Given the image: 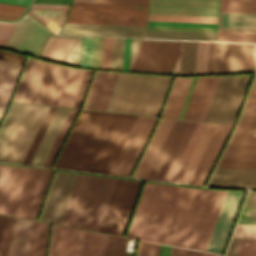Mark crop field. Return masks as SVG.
Segmentation results:
<instances>
[{
    "label": "crop field",
    "instance_id": "9f1670bb",
    "mask_svg": "<svg viewBox=\"0 0 256 256\" xmlns=\"http://www.w3.org/2000/svg\"><path fill=\"white\" fill-rule=\"evenodd\" d=\"M254 79H256V76H255V78Z\"/></svg>",
    "mask_w": 256,
    "mask_h": 256
},
{
    "label": "crop field",
    "instance_id": "9d1cf04e",
    "mask_svg": "<svg viewBox=\"0 0 256 256\" xmlns=\"http://www.w3.org/2000/svg\"><path fill=\"white\" fill-rule=\"evenodd\" d=\"M160 245L139 241L137 256H158Z\"/></svg>",
    "mask_w": 256,
    "mask_h": 256
},
{
    "label": "crop field",
    "instance_id": "5d738f31",
    "mask_svg": "<svg viewBox=\"0 0 256 256\" xmlns=\"http://www.w3.org/2000/svg\"><path fill=\"white\" fill-rule=\"evenodd\" d=\"M209 42H198L194 75L206 74Z\"/></svg>",
    "mask_w": 256,
    "mask_h": 256
},
{
    "label": "crop field",
    "instance_id": "028f5c9d",
    "mask_svg": "<svg viewBox=\"0 0 256 256\" xmlns=\"http://www.w3.org/2000/svg\"><path fill=\"white\" fill-rule=\"evenodd\" d=\"M85 70L71 68L57 106L71 108Z\"/></svg>",
    "mask_w": 256,
    "mask_h": 256
},
{
    "label": "crop field",
    "instance_id": "920284fa",
    "mask_svg": "<svg viewBox=\"0 0 256 256\" xmlns=\"http://www.w3.org/2000/svg\"><path fill=\"white\" fill-rule=\"evenodd\" d=\"M72 0H35L34 3L70 4Z\"/></svg>",
    "mask_w": 256,
    "mask_h": 256
},
{
    "label": "crop field",
    "instance_id": "22f410ed",
    "mask_svg": "<svg viewBox=\"0 0 256 256\" xmlns=\"http://www.w3.org/2000/svg\"><path fill=\"white\" fill-rule=\"evenodd\" d=\"M216 125L197 123L169 181L188 183Z\"/></svg>",
    "mask_w": 256,
    "mask_h": 256
},
{
    "label": "crop field",
    "instance_id": "bec16c9f",
    "mask_svg": "<svg viewBox=\"0 0 256 256\" xmlns=\"http://www.w3.org/2000/svg\"><path fill=\"white\" fill-rule=\"evenodd\" d=\"M15 25H16V23L12 24V26H11V28H10V30H9V32H8V34H7V36H6L5 40H4V42H3L1 48H4V46H5V44H6L7 40H8V38H9V36L11 35V33H12V31H13Z\"/></svg>",
    "mask_w": 256,
    "mask_h": 256
},
{
    "label": "crop field",
    "instance_id": "cbeb9de0",
    "mask_svg": "<svg viewBox=\"0 0 256 256\" xmlns=\"http://www.w3.org/2000/svg\"><path fill=\"white\" fill-rule=\"evenodd\" d=\"M78 174L57 171L38 220L61 223Z\"/></svg>",
    "mask_w": 256,
    "mask_h": 256
},
{
    "label": "crop field",
    "instance_id": "30508edc",
    "mask_svg": "<svg viewBox=\"0 0 256 256\" xmlns=\"http://www.w3.org/2000/svg\"><path fill=\"white\" fill-rule=\"evenodd\" d=\"M248 99H255L256 100V98H248Z\"/></svg>",
    "mask_w": 256,
    "mask_h": 256
},
{
    "label": "crop field",
    "instance_id": "60d6c31b",
    "mask_svg": "<svg viewBox=\"0 0 256 256\" xmlns=\"http://www.w3.org/2000/svg\"><path fill=\"white\" fill-rule=\"evenodd\" d=\"M248 97H256V80L253 81L250 93Z\"/></svg>",
    "mask_w": 256,
    "mask_h": 256
},
{
    "label": "crop field",
    "instance_id": "1f1604b0",
    "mask_svg": "<svg viewBox=\"0 0 256 256\" xmlns=\"http://www.w3.org/2000/svg\"><path fill=\"white\" fill-rule=\"evenodd\" d=\"M220 4L256 5V0H221Z\"/></svg>",
    "mask_w": 256,
    "mask_h": 256
},
{
    "label": "crop field",
    "instance_id": "00972430",
    "mask_svg": "<svg viewBox=\"0 0 256 256\" xmlns=\"http://www.w3.org/2000/svg\"><path fill=\"white\" fill-rule=\"evenodd\" d=\"M2 51V50H1ZM0 51V117L9 101L24 57Z\"/></svg>",
    "mask_w": 256,
    "mask_h": 256
},
{
    "label": "crop field",
    "instance_id": "1f2cbd36",
    "mask_svg": "<svg viewBox=\"0 0 256 256\" xmlns=\"http://www.w3.org/2000/svg\"><path fill=\"white\" fill-rule=\"evenodd\" d=\"M93 37H82L79 66L90 68Z\"/></svg>",
    "mask_w": 256,
    "mask_h": 256
},
{
    "label": "crop field",
    "instance_id": "f4fd0767",
    "mask_svg": "<svg viewBox=\"0 0 256 256\" xmlns=\"http://www.w3.org/2000/svg\"><path fill=\"white\" fill-rule=\"evenodd\" d=\"M148 6L73 3L66 22L146 26Z\"/></svg>",
    "mask_w": 256,
    "mask_h": 256
},
{
    "label": "crop field",
    "instance_id": "25e5ab78",
    "mask_svg": "<svg viewBox=\"0 0 256 256\" xmlns=\"http://www.w3.org/2000/svg\"><path fill=\"white\" fill-rule=\"evenodd\" d=\"M217 41L256 43V34L217 32Z\"/></svg>",
    "mask_w": 256,
    "mask_h": 256
},
{
    "label": "crop field",
    "instance_id": "5142ce71",
    "mask_svg": "<svg viewBox=\"0 0 256 256\" xmlns=\"http://www.w3.org/2000/svg\"><path fill=\"white\" fill-rule=\"evenodd\" d=\"M245 44L210 42L207 74L242 72Z\"/></svg>",
    "mask_w": 256,
    "mask_h": 256
},
{
    "label": "crop field",
    "instance_id": "8a807250",
    "mask_svg": "<svg viewBox=\"0 0 256 256\" xmlns=\"http://www.w3.org/2000/svg\"><path fill=\"white\" fill-rule=\"evenodd\" d=\"M208 191L145 182L125 236L188 248Z\"/></svg>",
    "mask_w": 256,
    "mask_h": 256
},
{
    "label": "crop field",
    "instance_id": "0765c3eb",
    "mask_svg": "<svg viewBox=\"0 0 256 256\" xmlns=\"http://www.w3.org/2000/svg\"><path fill=\"white\" fill-rule=\"evenodd\" d=\"M233 237L256 238V225L237 224Z\"/></svg>",
    "mask_w": 256,
    "mask_h": 256
},
{
    "label": "crop field",
    "instance_id": "c39391a2",
    "mask_svg": "<svg viewBox=\"0 0 256 256\" xmlns=\"http://www.w3.org/2000/svg\"><path fill=\"white\" fill-rule=\"evenodd\" d=\"M220 12L256 13V6L220 5Z\"/></svg>",
    "mask_w": 256,
    "mask_h": 256
},
{
    "label": "crop field",
    "instance_id": "28ad6ade",
    "mask_svg": "<svg viewBox=\"0 0 256 256\" xmlns=\"http://www.w3.org/2000/svg\"><path fill=\"white\" fill-rule=\"evenodd\" d=\"M54 171L29 168L11 215L37 219Z\"/></svg>",
    "mask_w": 256,
    "mask_h": 256
},
{
    "label": "crop field",
    "instance_id": "730fd06b",
    "mask_svg": "<svg viewBox=\"0 0 256 256\" xmlns=\"http://www.w3.org/2000/svg\"><path fill=\"white\" fill-rule=\"evenodd\" d=\"M69 110L57 108L30 164L43 165Z\"/></svg>",
    "mask_w": 256,
    "mask_h": 256
},
{
    "label": "crop field",
    "instance_id": "120bbe31",
    "mask_svg": "<svg viewBox=\"0 0 256 256\" xmlns=\"http://www.w3.org/2000/svg\"><path fill=\"white\" fill-rule=\"evenodd\" d=\"M229 144L256 146V116H241Z\"/></svg>",
    "mask_w": 256,
    "mask_h": 256
},
{
    "label": "crop field",
    "instance_id": "5edd877f",
    "mask_svg": "<svg viewBox=\"0 0 256 256\" xmlns=\"http://www.w3.org/2000/svg\"><path fill=\"white\" fill-rule=\"evenodd\" d=\"M217 31H228V32H251L256 33L255 29H230V28H218Z\"/></svg>",
    "mask_w": 256,
    "mask_h": 256
},
{
    "label": "crop field",
    "instance_id": "ac0d7876",
    "mask_svg": "<svg viewBox=\"0 0 256 256\" xmlns=\"http://www.w3.org/2000/svg\"><path fill=\"white\" fill-rule=\"evenodd\" d=\"M116 180L79 174L61 224L98 231Z\"/></svg>",
    "mask_w": 256,
    "mask_h": 256
},
{
    "label": "crop field",
    "instance_id": "b80d0937",
    "mask_svg": "<svg viewBox=\"0 0 256 256\" xmlns=\"http://www.w3.org/2000/svg\"><path fill=\"white\" fill-rule=\"evenodd\" d=\"M107 235L85 231L81 256H104Z\"/></svg>",
    "mask_w": 256,
    "mask_h": 256
},
{
    "label": "crop field",
    "instance_id": "819c52e7",
    "mask_svg": "<svg viewBox=\"0 0 256 256\" xmlns=\"http://www.w3.org/2000/svg\"><path fill=\"white\" fill-rule=\"evenodd\" d=\"M11 166L0 164V194Z\"/></svg>",
    "mask_w": 256,
    "mask_h": 256
},
{
    "label": "crop field",
    "instance_id": "fb207236",
    "mask_svg": "<svg viewBox=\"0 0 256 256\" xmlns=\"http://www.w3.org/2000/svg\"><path fill=\"white\" fill-rule=\"evenodd\" d=\"M171 256H203V253L172 247Z\"/></svg>",
    "mask_w": 256,
    "mask_h": 256
},
{
    "label": "crop field",
    "instance_id": "d9b57169",
    "mask_svg": "<svg viewBox=\"0 0 256 256\" xmlns=\"http://www.w3.org/2000/svg\"><path fill=\"white\" fill-rule=\"evenodd\" d=\"M244 193L236 191L227 192L206 251L223 253Z\"/></svg>",
    "mask_w": 256,
    "mask_h": 256
},
{
    "label": "crop field",
    "instance_id": "f1e629a9",
    "mask_svg": "<svg viewBox=\"0 0 256 256\" xmlns=\"http://www.w3.org/2000/svg\"><path fill=\"white\" fill-rule=\"evenodd\" d=\"M204 256H219V255H213V254L204 253Z\"/></svg>",
    "mask_w": 256,
    "mask_h": 256
},
{
    "label": "crop field",
    "instance_id": "e52e79f7",
    "mask_svg": "<svg viewBox=\"0 0 256 256\" xmlns=\"http://www.w3.org/2000/svg\"><path fill=\"white\" fill-rule=\"evenodd\" d=\"M69 69L37 60L21 102L56 106Z\"/></svg>",
    "mask_w": 256,
    "mask_h": 256
},
{
    "label": "crop field",
    "instance_id": "f47e1a6f",
    "mask_svg": "<svg viewBox=\"0 0 256 256\" xmlns=\"http://www.w3.org/2000/svg\"><path fill=\"white\" fill-rule=\"evenodd\" d=\"M29 1L30 0H0V3H8V4L27 6Z\"/></svg>",
    "mask_w": 256,
    "mask_h": 256
},
{
    "label": "crop field",
    "instance_id": "412701ff",
    "mask_svg": "<svg viewBox=\"0 0 256 256\" xmlns=\"http://www.w3.org/2000/svg\"><path fill=\"white\" fill-rule=\"evenodd\" d=\"M182 41L132 39L129 71L179 74Z\"/></svg>",
    "mask_w": 256,
    "mask_h": 256
},
{
    "label": "crop field",
    "instance_id": "214f88e0",
    "mask_svg": "<svg viewBox=\"0 0 256 256\" xmlns=\"http://www.w3.org/2000/svg\"><path fill=\"white\" fill-rule=\"evenodd\" d=\"M146 27L65 23L61 34L145 38Z\"/></svg>",
    "mask_w": 256,
    "mask_h": 256
},
{
    "label": "crop field",
    "instance_id": "ae633e8c",
    "mask_svg": "<svg viewBox=\"0 0 256 256\" xmlns=\"http://www.w3.org/2000/svg\"><path fill=\"white\" fill-rule=\"evenodd\" d=\"M237 223L256 224V208L244 207Z\"/></svg>",
    "mask_w": 256,
    "mask_h": 256
},
{
    "label": "crop field",
    "instance_id": "73cf0c24",
    "mask_svg": "<svg viewBox=\"0 0 256 256\" xmlns=\"http://www.w3.org/2000/svg\"><path fill=\"white\" fill-rule=\"evenodd\" d=\"M29 21H30V18L25 17L23 21L17 23L12 35L10 36L5 46V49L15 51Z\"/></svg>",
    "mask_w": 256,
    "mask_h": 256
},
{
    "label": "crop field",
    "instance_id": "d14b1444",
    "mask_svg": "<svg viewBox=\"0 0 256 256\" xmlns=\"http://www.w3.org/2000/svg\"><path fill=\"white\" fill-rule=\"evenodd\" d=\"M255 44H246L243 72H253V55Z\"/></svg>",
    "mask_w": 256,
    "mask_h": 256
},
{
    "label": "crop field",
    "instance_id": "b54c1fbb",
    "mask_svg": "<svg viewBox=\"0 0 256 256\" xmlns=\"http://www.w3.org/2000/svg\"><path fill=\"white\" fill-rule=\"evenodd\" d=\"M55 110H56V108H53V107L49 108V110H48V112H47V114H46V116H45V118H44V120H43V122H42V124H41V126H40V128H39V130H38V132H37V134H36V136H35V138H34V140H33V142H32V144H31V146H30V148H29V150H28V152H27V154H26L22 163L29 164V162H30V160H31V158H32V156H33V154H34V152H35V150H36V148H37V146H38V144H39V142H40V140H41V138H42V136H43V134H44L51 118H52V116H53V114H54V112H55Z\"/></svg>",
    "mask_w": 256,
    "mask_h": 256
},
{
    "label": "crop field",
    "instance_id": "03da06ac",
    "mask_svg": "<svg viewBox=\"0 0 256 256\" xmlns=\"http://www.w3.org/2000/svg\"><path fill=\"white\" fill-rule=\"evenodd\" d=\"M78 110L71 109L43 166L50 167Z\"/></svg>",
    "mask_w": 256,
    "mask_h": 256
},
{
    "label": "crop field",
    "instance_id": "5a996713",
    "mask_svg": "<svg viewBox=\"0 0 256 256\" xmlns=\"http://www.w3.org/2000/svg\"><path fill=\"white\" fill-rule=\"evenodd\" d=\"M141 183L122 179L117 180L99 231L123 235Z\"/></svg>",
    "mask_w": 256,
    "mask_h": 256
},
{
    "label": "crop field",
    "instance_id": "db79e9e6",
    "mask_svg": "<svg viewBox=\"0 0 256 256\" xmlns=\"http://www.w3.org/2000/svg\"><path fill=\"white\" fill-rule=\"evenodd\" d=\"M248 243L247 245H245ZM256 240L241 239L238 256H256Z\"/></svg>",
    "mask_w": 256,
    "mask_h": 256
},
{
    "label": "crop field",
    "instance_id": "eef30255",
    "mask_svg": "<svg viewBox=\"0 0 256 256\" xmlns=\"http://www.w3.org/2000/svg\"><path fill=\"white\" fill-rule=\"evenodd\" d=\"M28 168L12 166L0 197V213L11 214Z\"/></svg>",
    "mask_w": 256,
    "mask_h": 256
},
{
    "label": "crop field",
    "instance_id": "2aa4fe5e",
    "mask_svg": "<svg viewBox=\"0 0 256 256\" xmlns=\"http://www.w3.org/2000/svg\"><path fill=\"white\" fill-rule=\"evenodd\" d=\"M170 250H171V247L168 246L167 255L166 256H170Z\"/></svg>",
    "mask_w": 256,
    "mask_h": 256
},
{
    "label": "crop field",
    "instance_id": "bd1437ed",
    "mask_svg": "<svg viewBox=\"0 0 256 256\" xmlns=\"http://www.w3.org/2000/svg\"><path fill=\"white\" fill-rule=\"evenodd\" d=\"M192 78L175 77L161 117L177 118Z\"/></svg>",
    "mask_w": 256,
    "mask_h": 256
},
{
    "label": "crop field",
    "instance_id": "e1d0b9f6",
    "mask_svg": "<svg viewBox=\"0 0 256 256\" xmlns=\"http://www.w3.org/2000/svg\"><path fill=\"white\" fill-rule=\"evenodd\" d=\"M73 2L148 5V0H74Z\"/></svg>",
    "mask_w": 256,
    "mask_h": 256
},
{
    "label": "crop field",
    "instance_id": "447ae74e",
    "mask_svg": "<svg viewBox=\"0 0 256 256\" xmlns=\"http://www.w3.org/2000/svg\"><path fill=\"white\" fill-rule=\"evenodd\" d=\"M112 38H103L100 69H109Z\"/></svg>",
    "mask_w": 256,
    "mask_h": 256
},
{
    "label": "crop field",
    "instance_id": "3316defc",
    "mask_svg": "<svg viewBox=\"0 0 256 256\" xmlns=\"http://www.w3.org/2000/svg\"><path fill=\"white\" fill-rule=\"evenodd\" d=\"M196 122L175 120L146 179L167 181Z\"/></svg>",
    "mask_w": 256,
    "mask_h": 256
},
{
    "label": "crop field",
    "instance_id": "d8731c3e",
    "mask_svg": "<svg viewBox=\"0 0 256 256\" xmlns=\"http://www.w3.org/2000/svg\"><path fill=\"white\" fill-rule=\"evenodd\" d=\"M49 107L25 105L0 160L21 163Z\"/></svg>",
    "mask_w": 256,
    "mask_h": 256
},
{
    "label": "crop field",
    "instance_id": "7b73153f",
    "mask_svg": "<svg viewBox=\"0 0 256 256\" xmlns=\"http://www.w3.org/2000/svg\"><path fill=\"white\" fill-rule=\"evenodd\" d=\"M92 72L93 71H91V70H86L85 71V74L83 76L80 88L78 90V93H77V96H76V99H75V102H74L72 108H79L80 107V104L82 102V99H83V96L85 94V91H86L87 85L89 83L90 77L92 75Z\"/></svg>",
    "mask_w": 256,
    "mask_h": 256
},
{
    "label": "crop field",
    "instance_id": "bc2a9ffb",
    "mask_svg": "<svg viewBox=\"0 0 256 256\" xmlns=\"http://www.w3.org/2000/svg\"><path fill=\"white\" fill-rule=\"evenodd\" d=\"M233 126L218 124L189 183L203 186Z\"/></svg>",
    "mask_w": 256,
    "mask_h": 256
},
{
    "label": "crop field",
    "instance_id": "8de936bc",
    "mask_svg": "<svg viewBox=\"0 0 256 256\" xmlns=\"http://www.w3.org/2000/svg\"><path fill=\"white\" fill-rule=\"evenodd\" d=\"M11 24L0 23V46L10 28Z\"/></svg>",
    "mask_w": 256,
    "mask_h": 256
},
{
    "label": "crop field",
    "instance_id": "a9b5d70f",
    "mask_svg": "<svg viewBox=\"0 0 256 256\" xmlns=\"http://www.w3.org/2000/svg\"><path fill=\"white\" fill-rule=\"evenodd\" d=\"M208 186L256 189V169L217 167Z\"/></svg>",
    "mask_w": 256,
    "mask_h": 256
},
{
    "label": "crop field",
    "instance_id": "6203cac8",
    "mask_svg": "<svg viewBox=\"0 0 256 256\" xmlns=\"http://www.w3.org/2000/svg\"><path fill=\"white\" fill-rule=\"evenodd\" d=\"M163 248H164V245H161L159 256H162V254H163Z\"/></svg>",
    "mask_w": 256,
    "mask_h": 256
},
{
    "label": "crop field",
    "instance_id": "999ad59e",
    "mask_svg": "<svg viewBox=\"0 0 256 256\" xmlns=\"http://www.w3.org/2000/svg\"><path fill=\"white\" fill-rule=\"evenodd\" d=\"M33 6L69 8V5H52V4H33Z\"/></svg>",
    "mask_w": 256,
    "mask_h": 256
},
{
    "label": "crop field",
    "instance_id": "a0ae1fb6",
    "mask_svg": "<svg viewBox=\"0 0 256 256\" xmlns=\"http://www.w3.org/2000/svg\"><path fill=\"white\" fill-rule=\"evenodd\" d=\"M244 206L256 207V191H249Z\"/></svg>",
    "mask_w": 256,
    "mask_h": 256
},
{
    "label": "crop field",
    "instance_id": "0bd39190",
    "mask_svg": "<svg viewBox=\"0 0 256 256\" xmlns=\"http://www.w3.org/2000/svg\"><path fill=\"white\" fill-rule=\"evenodd\" d=\"M218 27L256 29V15L219 13Z\"/></svg>",
    "mask_w": 256,
    "mask_h": 256
},
{
    "label": "crop field",
    "instance_id": "f0312440",
    "mask_svg": "<svg viewBox=\"0 0 256 256\" xmlns=\"http://www.w3.org/2000/svg\"><path fill=\"white\" fill-rule=\"evenodd\" d=\"M240 239L232 238L226 256H237Z\"/></svg>",
    "mask_w": 256,
    "mask_h": 256
},
{
    "label": "crop field",
    "instance_id": "4a817a6b",
    "mask_svg": "<svg viewBox=\"0 0 256 256\" xmlns=\"http://www.w3.org/2000/svg\"><path fill=\"white\" fill-rule=\"evenodd\" d=\"M80 41L79 36H56L50 33L38 57L78 66Z\"/></svg>",
    "mask_w": 256,
    "mask_h": 256
},
{
    "label": "crop field",
    "instance_id": "c5b07064",
    "mask_svg": "<svg viewBox=\"0 0 256 256\" xmlns=\"http://www.w3.org/2000/svg\"><path fill=\"white\" fill-rule=\"evenodd\" d=\"M148 29L182 30V31H204V32H215V30H216V29H205V28H182V27H159V26H148Z\"/></svg>",
    "mask_w": 256,
    "mask_h": 256
},
{
    "label": "crop field",
    "instance_id": "c21b1889",
    "mask_svg": "<svg viewBox=\"0 0 256 256\" xmlns=\"http://www.w3.org/2000/svg\"><path fill=\"white\" fill-rule=\"evenodd\" d=\"M197 42L183 41L180 74L193 75Z\"/></svg>",
    "mask_w": 256,
    "mask_h": 256
},
{
    "label": "crop field",
    "instance_id": "ae1a2a85",
    "mask_svg": "<svg viewBox=\"0 0 256 256\" xmlns=\"http://www.w3.org/2000/svg\"><path fill=\"white\" fill-rule=\"evenodd\" d=\"M218 166L256 168V147L228 145Z\"/></svg>",
    "mask_w": 256,
    "mask_h": 256
},
{
    "label": "crop field",
    "instance_id": "1d83c4d3",
    "mask_svg": "<svg viewBox=\"0 0 256 256\" xmlns=\"http://www.w3.org/2000/svg\"><path fill=\"white\" fill-rule=\"evenodd\" d=\"M48 32L31 19L16 51L36 57Z\"/></svg>",
    "mask_w": 256,
    "mask_h": 256
},
{
    "label": "crop field",
    "instance_id": "ade564c9",
    "mask_svg": "<svg viewBox=\"0 0 256 256\" xmlns=\"http://www.w3.org/2000/svg\"><path fill=\"white\" fill-rule=\"evenodd\" d=\"M102 38L94 37L91 68L99 69Z\"/></svg>",
    "mask_w": 256,
    "mask_h": 256
},
{
    "label": "crop field",
    "instance_id": "dd49c442",
    "mask_svg": "<svg viewBox=\"0 0 256 256\" xmlns=\"http://www.w3.org/2000/svg\"><path fill=\"white\" fill-rule=\"evenodd\" d=\"M251 76H220L204 121L234 124Z\"/></svg>",
    "mask_w": 256,
    "mask_h": 256
},
{
    "label": "crop field",
    "instance_id": "180be81f",
    "mask_svg": "<svg viewBox=\"0 0 256 256\" xmlns=\"http://www.w3.org/2000/svg\"><path fill=\"white\" fill-rule=\"evenodd\" d=\"M218 77H219V76H217V77L214 78V81H213V84H212V86H211V89H210L208 98H207V100H206V103H205L203 112L201 111L202 114H201V117H200V120H199V121H203V120H204V117H205L206 111H207V109H208V106H209V103H210V100H211V97H212L214 88H215L216 83H217V80H218Z\"/></svg>",
    "mask_w": 256,
    "mask_h": 256
},
{
    "label": "crop field",
    "instance_id": "5866460e",
    "mask_svg": "<svg viewBox=\"0 0 256 256\" xmlns=\"http://www.w3.org/2000/svg\"><path fill=\"white\" fill-rule=\"evenodd\" d=\"M32 221L16 218L10 256H26Z\"/></svg>",
    "mask_w": 256,
    "mask_h": 256
},
{
    "label": "crop field",
    "instance_id": "158713f9",
    "mask_svg": "<svg viewBox=\"0 0 256 256\" xmlns=\"http://www.w3.org/2000/svg\"><path fill=\"white\" fill-rule=\"evenodd\" d=\"M126 239H127V238H124L123 249H122V256H133V255H134V252H133V255L124 254ZM135 243H136V242H135ZM134 249H135V247H134Z\"/></svg>",
    "mask_w": 256,
    "mask_h": 256
},
{
    "label": "crop field",
    "instance_id": "dafd665d",
    "mask_svg": "<svg viewBox=\"0 0 256 256\" xmlns=\"http://www.w3.org/2000/svg\"><path fill=\"white\" fill-rule=\"evenodd\" d=\"M84 231L53 225L48 256H80Z\"/></svg>",
    "mask_w": 256,
    "mask_h": 256
},
{
    "label": "crop field",
    "instance_id": "c035e120",
    "mask_svg": "<svg viewBox=\"0 0 256 256\" xmlns=\"http://www.w3.org/2000/svg\"><path fill=\"white\" fill-rule=\"evenodd\" d=\"M24 105L12 103L0 126V153Z\"/></svg>",
    "mask_w": 256,
    "mask_h": 256
},
{
    "label": "crop field",
    "instance_id": "1d79db26",
    "mask_svg": "<svg viewBox=\"0 0 256 256\" xmlns=\"http://www.w3.org/2000/svg\"><path fill=\"white\" fill-rule=\"evenodd\" d=\"M123 238L108 235L105 256H120Z\"/></svg>",
    "mask_w": 256,
    "mask_h": 256
},
{
    "label": "crop field",
    "instance_id": "0fb4a251",
    "mask_svg": "<svg viewBox=\"0 0 256 256\" xmlns=\"http://www.w3.org/2000/svg\"><path fill=\"white\" fill-rule=\"evenodd\" d=\"M25 7L8 4H0V19L14 20L19 18Z\"/></svg>",
    "mask_w": 256,
    "mask_h": 256
},
{
    "label": "crop field",
    "instance_id": "750c4746",
    "mask_svg": "<svg viewBox=\"0 0 256 256\" xmlns=\"http://www.w3.org/2000/svg\"><path fill=\"white\" fill-rule=\"evenodd\" d=\"M214 77H198L183 119L198 121Z\"/></svg>",
    "mask_w": 256,
    "mask_h": 256
},
{
    "label": "crop field",
    "instance_id": "d23c7cc5",
    "mask_svg": "<svg viewBox=\"0 0 256 256\" xmlns=\"http://www.w3.org/2000/svg\"><path fill=\"white\" fill-rule=\"evenodd\" d=\"M125 39L113 38L110 70L121 71Z\"/></svg>",
    "mask_w": 256,
    "mask_h": 256
},
{
    "label": "crop field",
    "instance_id": "3620e2b9",
    "mask_svg": "<svg viewBox=\"0 0 256 256\" xmlns=\"http://www.w3.org/2000/svg\"><path fill=\"white\" fill-rule=\"evenodd\" d=\"M5 219H6V216L0 215V250H1V243H2Z\"/></svg>",
    "mask_w": 256,
    "mask_h": 256
},
{
    "label": "crop field",
    "instance_id": "c3a83c6f",
    "mask_svg": "<svg viewBox=\"0 0 256 256\" xmlns=\"http://www.w3.org/2000/svg\"><path fill=\"white\" fill-rule=\"evenodd\" d=\"M125 73H120L106 111L111 112Z\"/></svg>",
    "mask_w": 256,
    "mask_h": 256
},
{
    "label": "crop field",
    "instance_id": "4177f3b9",
    "mask_svg": "<svg viewBox=\"0 0 256 256\" xmlns=\"http://www.w3.org/2000/svg\"><path fill=\"white\" fill-rule=\"evenodd\" d=\"M174 120L161 118L132 177L145 179Z\"/></svg>",
    "mask_w": 256,
    "mask_h": 256
},
{
    "label": "crop field",
    "instance_id": "d3111659",
    "mask_svg": "<svg viewBox=\"0 0 256 256\" xmlns=\"http://www.w3.org/2000/svg\"><path fill=\"white\" fill-rule=\"evenodd\" d=\"M150 9L217 12L218 0H151Z\"/></svg>",
    "mask_w": 256,
    "mask_h": 256
},
{
    "label": "crop field",
    "instance_id": "78b8030e",
    "mask_svg": "<svg viewBox=\"0 0 256 256\" xmlns=\"http://www.w3.org/2000/svg\"><path fill=\"white\" fill-rule=\"evenodd\" d=\"M148 25L216 28V24L149 21Z\"/></svg>",
    "mask_w": 256,
    "mask_h": 256
},
{
    "label": "crop field",
    "instance_id": "89e229c0",
    "mask_svg": "<svg viewBox=\"0 0 256 256\" xmlns=\"http://www.w3.org/2000/svg\"><path fill=\"white\" fill-rule=\"evenodd\" d=\"M149 20L216 23L217 18L149 15Z\"/></svg>",
    "mask_w": 256,
    "mask_h": 256
},
{
    "label": "crop field",
    "instance_id": "733c2abd",
    "mask_svg": "<svg viewBox=\"0 0 256 256\" xmlns=\"http://www.w3.org/2000/svg\"><path fill=\"white\" fill-rule=\"evenodd\" d=\"M226 192L218 190L209 191L189 248L206 250Z\"/></svg>",
    "mask_w": 256,
    "mask_h": 256
},
{
    "label": "crop field",
    "instance_id": "c821d689",
    "mask_svg": "<svg viewBox=\"0 0 256 256\" xmlns=\"http://www.w3.org/2000/svg\"><path fill=\"white\" fill-rule=\"evenodd\" d=\"M242 114L256 115V101L247 100Z\"/></svg>",
    "mask_w": 256,
    "mask_h": 256
},
{
    "label": "crop field",
    "instance_id": "d1516ede",
    "mask_svg": "<svg viewBox=\"0 0 256 256\" xmlns=\"http://www.w3.org/2000/svg\"><path fill=\"white\" fill-rule=\"evenodd\" d=\"M157 119L137 117L109 174L130 176Z\"/></svg>",
    "mask_w": 256,
    "mask_h": 256
},
{
    "label": "crop field",
    "instance_id": "d32e631a",
    "mask_svg": "<svg viewBox=\"0 0 256 256\" xmlns=\"http://www.w3.org/2000/svg\"><path fill=\"white\" fill-rule=\"evenodd\" d=\"M68 9L31 7L28 14L58 33Z\"/></svg>",
    "mask_w": 256,
    "mask_h": 256
},
{
    "label": "crop field",
    "instance_id": "0f1d7ab4",
    "mask_svg": "<svg viewBox=\"0 0 256 256\" xmlns=\"http://www.w3.org/2000/svg\"><path fill=\"white\" fill-rule=\"evenodd\" d=\"M149 14L217 17V13L150 10Z\"/></svg>",
    "mask_w": 256,
    "mask_h": 256
},
{
    "label": "crop field",
    "instance_id": "e1f06a70",
    "mask_svg": "<svg viewBox=\"0 0 256 256\" xmlns=\"http://www.w3.org/2000/svg\"><path fill=\"white\" fill-rule=\"evenodd\" d=\"M215 33L148 30L147 38L214 41Z\"/></svg>",
    "mask_w": 256,
    "mask_h": 256
},
{
    "label": "crop field",
    "instance_id": "34b2d1b8",
    "mask_svg": "<svg viewBox=\"0 0 256 256\" xmlns=\"http://www.w3.org/2000/svg\"><path fill=\"white\" fill-rule=\"evenodd\" d=\"M171 78L126 73L112 112L158 116Z\"/></svg>",
    "mask_w": 256,
    "mask_h": 256
},
{
    "label": "crop field",
    "instance_id": "7312dd0a",
    "mask_svg": "<svg viewBox=\"0 0 256 256\" xmlns=\"http://www.w3.org/2000/svg\"><path fill=\"white\" fill-rule=\"evenodd\" d=\"M131 39H126L122 70L128 71Z\"/></svg>",
    "mask_w": 256,
    "mask_h": 256
},
{
    "label": "crop field",
    "instance_id": "92a150f3",
    "mask_svg": "<svg viewBox=\"0 0 256 256\" xmlns=\"http://www.w3.org/2000/svg\"><path fill=\"white\" fill-rule=\"evenodd\" d=\"M118 74L96 71L82 109L105 111Z\"/></svg>",
    "mask_w": 256,
    "mask_h": 256
},
{
    "label": "crop field",
    "instance_id": "dbb93151",
    "mask_svg": "<svg viewBox=\"0 0 256 256\" xmlns=\"http://www.w3.org/2000/svg\"><path fill=\"white\" fill-rule=\"evenodd\" d=\"M15 218L7 216L1 256H9Z\"/></svg>",
    "mask_w": 256,
    "mask_h": 256
},
{
    "label": "crop field",
    "instance_id": "425ffa30",
    "mask_svg": "<svg viewBox=\"0 0 256 256\" xmlns=\"http://www.w3.org/2000/svg\"><path fill=\"white\" fill-rule=\"evenodd\" d=\"M35 61L36 60L34 59H30V58L27 59L26 65L24 67L22 76L20 78L19 84L17 86L16 92L12 101H16V102L21 101V98L23 96L24 90L26 88V85L29 80Z\"/></svg>",
    "mask_w": 256,
    "mask_h": 256
}]
</instances>
